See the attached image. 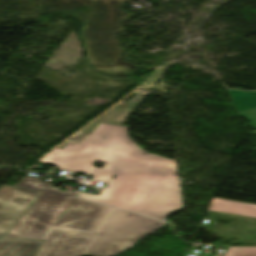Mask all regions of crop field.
<instances>
[{"mask_svg":"<svg viewBox=\"0 0 256 256\" xmlns=\"http://www.w3.org/2000/svg\"><path fill=\"white\" fill-rule=\"evenodd\" d=\"M129 112L126 111V109L123 107L122 103H118L114 108H112L107 113L103 114L101 117H99L97 120L93 121L88 127L80 130L77 134L81 135V139H78L76 141L73 140H67L63 145H61L59 148L63 149L69 142L74 143H80L84 137L88 134L93 132V130L100 124H111V125H122L123 121L127 117Z\"/></svg>","mask_w":256,"mask_h":256,"instance_id":"crop-field-6","label":"crop field"},{"mask_svg":"<svg viewBox=\"0 0 256 256\" xmlns=\"http://www.w3.org/2000/svg\"><path fill=\"white\" fill-rule=\"evenodd\" d=\"M127 129L101 124L80 144L55 149L40 163L87 173L99 181L117 175L100 196L80 191L77 196L164 220L181 208L176 161L145 152L128 136ZM96 161L105 163L103 169L92 167Z\"/></svg>","mask_w":256,"mask_h":256,"instance_id":"crop-field-1","label":"crop field"},{"mask_svg":"<svg viewBox=\"0 0 256 256\" xmlns=\"http://www.w3.org/2000/svg\"><path fill=\"white\" fill-rule=\"evenodd\" d=\"M239 115L248 121H250V126L256 129V108L250 109L244 112H240ZM256 133V132H253Z\"/></svg>","mask_w":256,"mask_h":256,"instance_id":"crop-field-10","label":"crop field"},{"mask_svg":"<svg viewBox=\"0 0 256 256\" xmlns=\"http://www.w3.org/2000/svg\"><path fill=\"white\" fill-rule=\"evenodd\" d=\"M39 194L6 185L0 188V237L5 235Z\"/></svg>","mask_w":256,"mask_h":256,"instance_id":"crop-field-5","label":"crop field"},{"mask_svg":"<svg viewBox=\"0 0 256 256\" xmlns=\"http://www.w3.org/2000/svg\"><path fill=\"white\" fill-rule=\"evenodd\" d=\"M224 256H256V247H229Z\"/></svg>","mask_w":256,"mask_h":256,"instance_id":"crop-field-9","label":"crop field"},{"mask_svg":"<svg viewBox=\"0 0 256 256\" xmlns=\"http://www.w3.org/2000/svg\"><path fill=\"white\" fill-rule=\"evenodd\" d=\"M43 241L0 239V256H35Z\"/></svg>","mask_w":256,"mask_h":256,"instance_id":"crop-field-7","label":"crop field"},{"mask_svg":"<svg viewBox=\"0 0 256 256\" xmlns=\"http://www.w3.org/2000/svg\"><path fill=\"white\" fill-rule=\"evenodd\" d=\"M163 222L147 219L115 209L84 256H112L128 245L163 225Z\"/></svg>","mask_w":256,"mask_h":256,"instance_id":"crop-field-3","label":"crop field"},{"mask_svg":"<svg viewBox=\"0 0 256 256\" xmlns=\"http://www.w3.org/2000/svg\"><path fill=\"white\" fill-rule=\"evenodd\" d=\"M96 235L52 228L36 256H80Z\"/></svg>","mask_w":256,"mask_h":256,"instance_id":"crop-field-4","label":"crop field"},{"mask_svg":"<svg viewBox=\"0 0 256 256\" xmlns=\"http://www.w3.org/2000/svg\"><path fill=\"white\" fill-rule=\"evenodd\" d=\"M31 176L15 186L42 192L4 237L45 240L52 227L96 234L113 208L78 199Z\"/></svg>","mask_w":256,"mask_h":256,"instance_id":"crop-field-2","label":"crop field"},{"mask_svg":"<svg viewBox=\"0 0 256 256\" xmlns=\"http://www.w3.org/2000/svg\"><path fill=\"white\" fill-rule=\"evenodd\" d=\"M208 210L256 218V205L253 204L214 198Z\"/></svg>","mask_w":256,"mask_h":256,"instance_id":"crop-field-8","label":"crop field"}]
</instances>
